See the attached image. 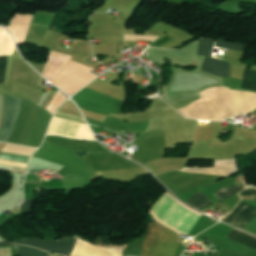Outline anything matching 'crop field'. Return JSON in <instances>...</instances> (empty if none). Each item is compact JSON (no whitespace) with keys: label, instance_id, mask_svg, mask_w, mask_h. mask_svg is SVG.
<instances>
[{"label":"crop field","instance_id":"obj_5","mask_svg":"<svg viewBox=\"0 0 256 256\" xmlns=\"http://www.w3.org/2000/svg\"><path fill=\"white\" fill-rule=\"evenodd\" d=\"M6 108L0 136L1 142H7L17 121L21 99L5 95Z\"/></svg>","mask_w":256,"mask_h":256},{"label":"crop field","instance_id":"obj_6","mask_svg":"<svg viewBox=\"0 0 256 256\" xmlns=\"http://www.w3.org/2000/svg\"><path fill=\"white\" fill-rule=\"evenodd\" d=\"M94 246L78 238L75 248L70 256H122L124 250Z\"/></svg>","mask_w":256,"mask_h":256},{"label":"crop field","instance_id":"obj_2","mask_svg":"<svg viewBox=\"0 0 256 256\" xmlns=\"http://www.w3.org/2000/svg\"><path fill=\"white\" fill-rule=\"evenodd\" d=\"M75 103L84 109L106 114H124L125 103L87 88L73 96Z\"/></svg>","mask_w":256,"mask_h":256},{"label":"crop field","instance_id":"obj_4","mask_svg":"<svg viewBox=\"0 0 256 256\" xmlns=\"http://www.w3.org/2000/svg\"><path fill=\"white\" fill-rule=\"evenodd\" d=\"M213 46V41L207 39H200L198 46V55L206 56L201 69L216 76L230 77L229 64L211 58V51L213 49Z\"/></svg>","mask_w":256,"mask_h":256},{"label":"crop field","instance_id":"obj_16","mask_svg":"<svg viewBox=\"0 0 256 256\" xmlns=\"http://www.w3.org/2000/svg\"><path fill=\"white\" fill-rule=\"evenodd\" d=\"M7 56L0 57V83H4Z\"/></svg>","mask_w":256,"mask_h":256},{"label":"crop field","instance_id":"obj_7","mask_svg":"<svg viewBox=\"0 0 256 256\" xmlns=\"http://www.w3.org/2000/svg\"><path fill=\"white\" fill-rule=\"evenodd\" d=\"M255 217L256 209L240 201L224 221L244 228Z\"/></svg>","mask_w":256,"mask_h":256},{"label":"crop field","instance_id":"obj_14","mask_svg":"<svg viewBox=\"0 0 256 256\" xmlns=\"http://www.w3.org/2000/svg\"><path fill=\"white\" fill-rule=\"evenodd\" d=\"M215 46L245 51L248 45L242 43L216 40Z\"/></svg>","mask_w":256,"mask_h":256},{"label":"crop field","instance_id":"obj_9","mask_svg":"<svg viewBox=\"0 0 256 256\" xmlns=\"http://www.w3.org/2000/svg\"><path fill=\"white\" fill-rule=\"evenodd\" d=\"M6 245H11V244L7 241L0 242V246H6ZM15 248L20 256H47L48 255L47 252H43L35 248H30L25 246H16V245H15Z\"/></svg>","mask_w":256,"mask_h":256},{"label":"crop field","instance_id":"obj_17","mask_svg":"<svg viewBox=\"0 0 256 256\" xmlns=\"http://www.w3.org/2000/svg\"><path fill=\"white\" fill-rule=\"evenodd\" d=\"M241 197L243 196H256V187L250 186L246 188L245 190L241 191L239 193Z\"/></svg>","mask_w":256,"mask_h":256},{"label":"crop field","instance_id":"obj_12","mask_svg":"<svg viewBox=\"0 0 256 256\" xmlns=\"http://www.w3.org/2000/svg\"><path fill=\"white\" fill-rule=\"evenodd\" d=\"M228 236L230 237H233L235 239H238L242 242H245L247 244H250L252 246H255L256 247V238L248 235V234H245L237 229H233L229 234Z\"/></svg>","mask_w":256,"mask_h":256},{"label":"crop field","instance_id":"obj_8","mask_svg":"<svg viewBox=\"0 0 256 256\" xmlns=\"http://www.w3.org/2000/svg\"><path fill=\"white\" fill-rule=\"evenodd\" d=\"M0 158L14 160V161H20V162H25V163H27L28 159H29L27 157L15 156V155L4 154V153H0ZM4 159H0V164L21 167V168H25L27 165L25 163L14 162V161H9V160H4Z\"/></svg>","mask_w":256,"mask_h":256},{"label":"crop field","instance_id":"obj_15","mask_svg":"<svg viewBox=\"0 0 256 256\" xmlns=\"http://www.w3.org/2000/svg\"><path fill=\"white\" fill-rule=\"evenodd\" d=\"M32 206H33V199L25 200L20 205L22 215L32 213Z\"/></svg>","mask_w":256,"mask_h":256},{"label":"crop field","instance_id":"obj_19","mask_svg":"<svg viewBox=\"0 0 256 256\" xmlns=\"http://www.w3.org/2000/svg\"><path fill=\"white\" fill-rule=\"evenodd\" d=\"M238 1H243V2H247V3L256 4V0H238Z\"/></svg>","mask_w":256,"mask_h":256},{"label":"crop field","instance_id":"obj_11","mask_svg":"<svg viewBox=\"0 0 256 256\" xmlns=\"http://www.w3.org/2000/svg\"><path fill=\"white\" fill-rule=\"evenodd\" d=\"M243 88L256 91V71L255 70H244Z\"/></svg>","mask_w":256,"mask_h":256},{"label":"crop field","instance_id":"obj_10","mask_svg":"<svg viewBox=\"0 0 256 256\" xmlns=\"http://www.w3.org/2000/svg\"><path fill=\"white\" fill-rule=\"evenodd\" d=\"M209 202H211L206 195L201 192H196L186 203L192 207H195L201 210L205 207Z\"/></svg>","mask_w":256,"mask_h":256},{"label":"crop field","instance_id":"obj_13","mask_svg":"<svg viewBox=\"0 0 256 256\" xmlns=\"http://www.w3.org/2000/svg\"><path fill=\"white\" fill-rule=\"evenodd\" d=\"M243 189H245L244 185H238L226 189H219V191L215 193L214 196L222 201Z\"/></svg>","mask_w":256,"mask_h":256},{"label":"crop field","instance_id":"obj_3","mask_svg":"<svg viewBox=\"0 0 256 256\" xmlns=\"http://www.w3.org/2000/svg\"><path fill=\"white\" fill-rule=\"evenodd\" d=\"M75 239L76 238L72 237H63L59 240H41L39 238H31L15 240L13 243L30 245L35 248L48 250L68 256L74 246Z\"/></svg>","mask_w":256,"mask_h":256},{"label":"crop field","instance_id":"obj_18","mask_svg":"<svg viewBox=\"0 0 256 256\" xmlns=\"http://www.w3.org/2000/svg\"><path fill=\"white\" fill-rule=\"evenodd\" d=\"M173 40L172 38H170L168 35L156 40L151 46H154V47H159L169 41Z\"/></svg>","mask_w":256,"mask_h":256},{"label":"crop field","instance_id":"obj_1","mask_svg":"<svg viewBox=\"0 0 256 256\" xmlns=\"http://www.w3.org/2000/svg\"><path fill=\"white\" fill-rule=\"evenodd\" d=\"M180 244L174 231L157 222L150 223L146 230L140 256H175Z\"/></svg>","mask_w":256,"mask_h":256}]
</instances>
